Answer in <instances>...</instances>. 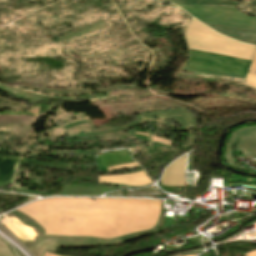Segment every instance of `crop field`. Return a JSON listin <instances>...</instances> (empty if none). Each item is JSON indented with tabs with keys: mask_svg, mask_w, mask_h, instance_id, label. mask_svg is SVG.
Segmentation results:
<instances>
[{
	"mask_svg": "<svg viewBox=\"0 0 256 256\" xmlns=\"http://www.w3.org/2000/svg\"><path fill=\"white\" fill-rule=\"evenodd\" d=\"M96 199L52 198L19 210L39 223L46 234L104 238L151 229L160 215L161 201Z\"/></svg>",
	"mask_w": 256,
	"mask_h": 256,
	"instance_id": "crop-field-1",
	"label": "crop field"
},
{
	"mask_svg": "<svg viewBox=\"0 0 256 256\" xmlns=\"http://www.w3.org/2000/svg\"><path fill=\"white\" fill-rule=\"evenodd\" d=\"M185 38L188 42L189 49L250 60L256 49L255 47L221 36L196 20H191L187 27ZM195 50H189L190 60L184 66L245 75L251 62L250 60Z\"/></svg>",
	"mask_w": 256,
	"mask_h": 256,
	"instance_id": "crop-field-2",
	"label": "crop field"
},
{
	"mask_svg": "<svg viewBox=\"0 0 256 256\" xmlns=\"http://www.w3.org/2000/svg\"><path fill=\"white\" fill-rule=\"evenodd\" d=\"M154 117H164L168 119H172L179 123L186 130L191 127L197 126L196 120L192 114H190L186 110H170L165 112H155L141 115L138 120L140 123L142 120L155 119Z\"/></svg>",
	"mask_w": 256,
	"mask_h": 256,
	"instance_id": "crop-field-3",
	"label": "crop field"
},
{
	"mask_svg": "<svg viewBox=\"0 0 256 256\" xmlns=\"http://www.w3.org/2000/svg\"><path fill=\"white\" fill-rule=\"evenodd\" d=\"M185 166L186 155L180 157L166 168L165 173L162 177V185L183 186Z\"/></svg>",
	"mask_w": 256,
	"mask_h": 256,
	"instance_id": "crop-field-4",
	"label": "crop field"
},
{
	"mask_svg": "<svg viewBox=\"0 0 256 256\" xmlns=\"http://www.w3.org/2000/svg\"><path fill=\"white\" fill-rule=\"evenodd\" d=\"M99 182H109L134 186H143L152 183L144 171L120 176L99 177Z\"/></svg>",
	"mask_w": 256,
	"mask_h": 256,
	"instance_id": "crop-field-5",
	"label": "crop field"
},
{
	"mask_svg": "<svg viewBox=\"0 0 256 256\" xmlns=\"http://www.w3.org/2000/svg\"><path fill=\"white\" fill-rule=\"evenodd\" d=\"M18 159L19 157L0 155V186L11 184Z\"/></svg>",
	"mask_w": 256,
	"mask_h": 256,
	"instance_id": "crop-field-6",
	"label": "crop field"
},
{
	"mask_svg": "<svg viewBox=\"0 0 256 256\" xmlns=\"http://www.w3.org/2000/svg\"><path fill=\"white\" fill-rule=\"evenodd\" d=\"M18 164H24L29 166H38V167H48V168H55V169H62V170H68L73 171L71 164H63V163H52V162H44L40 160L35 159H29L22 157ZM74 172V171H73Z\"/></svg>",
	"mask_w": 256,
	"mask_h": 256,
	"instance_id": "crop-field-7",
	"label": "crop field"
},
{
	"mask_svg": "<svg viewBox=\"0 0 256 256\" xmlns=\"http://www.w3.org/2000/svg\"><path fill=\"white\" fill-rule=\"evenodd\" d=\"M244 83L256 88V51Z\"/></svg>",
	"mask_w": 256,
	"mask_h": 256,
	"instance_id": "crop-field-8",
	"label": "crop field"
},
{
	"mask_svg": "<svg viewBox=\"0 0 256 256\" xmlns=\"http://www.w3.org/2000/svg\"><path fill=\"white\" fill-rule=\"evenodd\" d=\"M0 256H14L6 242L0 238Z\"/></svg>",
	"mask_w": 256,
	"mask_h": 256,
	"instance_id": "crop-field-9",
	"label": "crop field"
},
{
	"mask_svg": "<svg viewBox=\"0 0 256 256\" xmlns=\"http://www.w3.org/2000/svg\"><path fill=\"white\" fill-rule=\"evenodd\" d=\"M135 134L144 135V136H146V137L148 138V140H150V142H153V143H155V141H159V142L164 143V144L169 145V146H170V144L173 143V142H171V141H167V140L161 139V138H159V137L152 136V135L149 134V133H148V134H142V133H137V132H135Z\"/></svg>",
	"mask_w": 256,
	"mask_h": 256,
	"instance_id": "crop-field-10",
	"label": "crop field"
},
{
	"mask_svg": "<svg viewBox=\"0 0 256 256\" xmlns=\"http://www.w3.org/2000/svg\"><path fill=\"white\" fill-rule=\"evenodd\" d=\"M133 166H139V164L138 163H131V164L112 166V167H108V171L109 170H114V169H120V168L133 167Z\"/></svg>",
	"mask_w": 256,
	"mask_h": 256,
	"instance_id": "crop-field-11",
	"label": "crop field"
},
{
	"mask_svg": "<svg viewBox=\"0 0 256 256\" xmlns=\"http://www.w3.org/2000/svg\"><path fill=\"white\" fill-rule=\"evenodd\" d=\"M244 256H256V251L250 252Z\"/></svg>",
	"mask_w": 256,
	"mask_h": 256,
	"instance_id": "crop-field-12",
	"label": "crop field"
},
{
	"mask_svg": "<svg viewBox=\"0 0 256 256\" xmlns=\"http://www.w3.org/2000/svg\"><path fill=\"white\" fill-rule=\"evenodd\" d=\"M45 256H58V255H51V254L45 253Z\"/></svg>",
	"mask_w": 256,
	"mask_h": 256,
	"instance_id": "crop-field-13",
	"label": "crop field"
},
{
	"mask_svg": "<svg viewBox=\"0 0 256 256\" xmlns=\"http://www.w3.org/2000/svg\"><path fill=\"white\" fill-rule=\"evenodd\" d=\"M197 254H194V255H185V256H196Z\"/></svg>",
	"mask_w": 256,
	"mask_h": 256,
	"instance_id": "crop-field-14",
	"label": "crop field"
}]
</instances>
